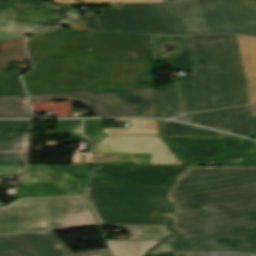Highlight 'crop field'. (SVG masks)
<instances>
[{
	"mask_svg": "<svg viewBox=\"0 0 256 256\" xmlns=\"http://www.w3.org/2000/svg\"><path fill=\"white\" fill-rule=\"evenodd\" d=\"M0 256H113L108 248L73 254L51 231L0 236Z\"/></svg>",
	"mask_w": 256,
	"mask_h": 256,
	"instance_id": "obj_12",
	"label": "crop field"
},
{
	"mask_svg": "<svg viewBox=\"0 0 256 256\" xmlns=\"http://www.w3.org/2000/svg\"><path fill=\"white\" fill-rule=\"evenodd\" d=\"M159 124L161 136L238 138L170 121L159 120Z\"/></svg>",
	"mask_w": 256,
	"mask_h": 256,
	"instance_id": "obj_19",
	"label": "crop field"
},
{
	"mask_svg": "<svg viewBox=\"0 0 256 256\" xmlns=\"http://www.w3.org/2000/svg\"><path fill=\"white\" fill-rule=\"evenodd\" d=\"M166 187L87 186L84 194L100 225L167 226L158 211L170 210L161 194Z\"/></svg>",
	"mask_w": 256,
	"mask_h": 256,
	"instance_id": "obj_6",
	"label": "crop field"
},
{
	"mask_svg": "<svg viewBox=\"0 0 256 256\" xmlns=\"http://www.w3.org/2000/svg\"><path fill=\"white\" fill-rule=\"evenodd\" d=\"M255 255H256V253H255Z\"/></svg>",
	"mask_w": 256,
	"mask_h": 256,
	"instance_id": "obj_43",
	"label": "crop field"
},
{
	"mask_svg": "<svg viewBox=\"0 0 256 256\" xmlns=\"http://www.w3.org/2000/svg\"><path fill=\"white\" fill-rule=\"evenodd\" d=\"M121 7L82 20L90 32L256 36V0H180Z\"/></svg>",
	"mask_w": 256,
	"mask_h": 256,
	"instance_id": "obj_2",
	"label": "crop field"
},
{
	"mask_svg": "<svg viewBox=\"0 0 256 256\" xmlns=\"http://www.w3.org/2000/svg\"><path fill=\"white\" fill-rule=\"evenodd\" d=\"M187 163L193 159L222 158L243 144V139L161 137Z\"/></svg>",
	"mask_w": 256,
	"mask_h": 256,
	"instance_id": "obj_13",
	"label": "crop field"
},
{
	"mask_svg": "<svg viewBox=\"0 0 256 256\" xmlns=\"http://www.w3.org/2000/svg\"><path fill=\"white\" fill-rule=\"evenodd\" d=\"M29 120L0 121V164H25Z\"/></svg>",
	"mask_w": 256,
	"mask_h": 256,
	"instance_id": "obj_15",
	"label": "crop field"
},
{
	"mask_svg": "<svg viewBox=\"0 0 256 256\" xmlns=\"http://www.w3.org/2000/svg\"><path fill=\"white\" fill-rule=\"evenodd\" d=\"M82 120H57L55 133L80 134Z\"/></svg>",
	"mask_w": 256,
	"mask_h": 256,
	"instance_id": "obj_27",
	"label": "crop field"
},
{
	"mask_svg": "<svg viewBox=\"0 0 256 256\" xmlns=\"http://www.w3.org/2000/svg\"><path fill=\"white\" fill-rule=\"evenodd\" d=\"M25 94L16 71L0 72V96Z\"/></svg>",
	"mask_w": 256,
	"mask_h": 256,
	"instance_id": "obj_25",
	"label": "crop field"
},
{
	"mask_svg": "<svg viewBox=\"0 0 256 256\" xmlns=\"http://www.w3.org/2000/svg\"><path fill=\"white\" fill-rule=\"evenodd\" d=\"M164 1H169V0H164Z\"/></svg>",
	"mask_w": 256,
	"mask_h": 256,
	"instance_id": "obj_41",
	"label": "crop field"
},
{
	"mask_svg": "<svg viewBox=\"0 0 256 256\" xmlns=\"http://www.w3.org/2000/svg\"><path fill=\"white\" fill-rule=\"evenodd\" d=\"M174 119L196 123L248 137L254 135L249 106L188 114Z\"/></svg>",
	"mask_w": 256,
	"mask_h": 256,
	"instance_id": "obj_14",
	"label": "crop field"
},
{
	"mask_svg": "<svg viewBox=\"0 0 256 256\" xmlns=\"http://www.w3.org/2000/svg\"><path fill=\"white\" fill-rule=\"evenodd\" d=\"M151 71V63H124L115 62L111 82H98L88 90L132 87L131 79Z\"/></svg>",
	"mask_w": 256,
	"mask_h": 256,
	"instance_id": "obj_18",
	"label": "crop field"
},
{
	"mask_svg": "<svg viewBox=\"0 0 256 256\" xmlns=\"http://www.w3.org/2000/svg\"><path fill=\"white\" fill-rule=\"evenodd\" d=\"M118 122H131V128H103V134H158L156 120L127 119Z\"/></svg>",
	"mask_w": 256,
	"mask_h": 256,
	"instance_id": "obj_23",
	"label": "crop field"
},
{
	"mask_svg": "<svg viewBox=\"0 0 256 256\" xmlns=\"http://www.w3.org/2000/svg\"><path fill=\"white\" fill-rule=\"evenodd\" d=\"M59 30L60 29L57 28V29L52 30L50 32H47L45 34H42V35H39V36L34 37L32 39H29L27 41L26 45L29 46V45H33V44H37V43H42V42L53 40L57 36Z\"/></svg>",
	"mask_w": 256,
	"mask_h": 256,
	"instance_id": "obj_29",
	"label": "crop field"
},
{
	"mask_svg": "<svg viewBox=\"0 0 256 256\" xmlns=\"http://www.w3.org/2000/svg\"><path fill=\"white\" fill-rule=\"evenodd\" d=\"M78 18L72 6L32 0H0V30L36 35Z\"/></svg>",
	"mask_w": 256,
	"mask_h": 256,
	"instance_id": "obj_9",
	"label": "crop field"
},
{
	"mask_svg": "<svg viewBox=\"0 0 256 256\" xmlns=\"http://www.w3.org/2000/svg\"><path fill=\"white\" fill-rule=\"evenodd\" d=\"M31 100H72L98 117H157L153 87L29 95Z\"/></svg>",
	"mask_w": 256,
	"mask_h": 256,
	"instance_id": "obj_8",
	"label": "crop field"
},
{
	"mask_svg": "<svg viewBox=\"0 0 256 256\" xmlns=\"http://www.w3.org/2000/svg\"><path fill=\"white\" fill-rule=\"evenodd\" d=\"M129 239H155L161 241L172 231L166 227H126ZM130 235H134L130 237Z\"/></svg>",
	"mask_w": 256,
	"mask_h": 256,
	"instance_id": "obj_26",
	"label": "crop field"
},
{
	"mask_svg": "<svg viewBox=\"0 0 256 256\" xmlns=\"http://www.w3.org/2000/svg\"><path fill=\"white\" fill-rule=\"evenodd\" d=\"M88 166H28L15 197L80 194Z\"/></svg>",
	"mask_w": 256,
	"mask_h": 256,
	"instance_id": "obj_10",
	"label": "crop field"
},
{
	"mask_svg": "<svg viewBox=\"0 0 256 256\" xmlns=\"http://www.w3.org/2000/svg\"><path fill=\"white\" fill-rule=\"evenodd\" d=\"M87 4H101V3H118V2H136V1H161V0H82Z\"/></svg>",
	"mask_w": 256,
	"mask_h": 256,
	"instance_id": "obj_32",
	"label": "crop field"
},
{
	"mask_svg": "<svg viewBox=\"0 0 256 256\" xmlns=\"http://www.w3.org/2000/svg\"><path fill=\"white\" fill-rule=\"evenodd\" d=\"M156 256H176V255L173 252H170V253H165V254L156 255Z\"/></svg>",
	"mask_w": 256,
	"mask_h": 256,
	"instance_id": "obj_39",
	"label": "crop field"
},
{
	"mask_svg": "<svg viewBox=\"0 0 256 256\" xmlns=\"http://www.w3.org/2000/svg\"><path fill=\"white\" fill-rule=\"evenodd\" d=\"M23 95L0 97V118L30 117L28 104H21Z\"/></svg>",
	"mask_w": 256,
	"mask_h": 256,
	"instance_id": "obj_24",
	"label": "crop field"
},
{
	"mask_svg": "<svg viewBox=\"0 0 256 256\" xmlns=\"http://www.w3.org/2000/svg\"><path fill=\"white\" fill-rule=\"evenodd\" d=\"M25 165H0V177L3 175L21 176Z\"/></svg>",
	"mask_w": 256,
	"mask_h": 256,
	"instance_id": "obj_30",
	"label": "crop field"
},
{
	"mask_svg": "<svg viewBox=\"0 0 256 256\" xmlns=\"http://www.w3.org/2000/svg\"><path fill=\"white\" fill-rule=\"evenodd\" d=\"M189 165H256V143L247 142L222 161H194Z\"/></svg>",
	"mask_w": 256,
	"mask_h": 256,
	"instance_id": "obj_21",
	"label": "crop field"
},
{
	"mask_svg": "<svg viewBox=\"0 0 256 256\" xmlns=\"http://www.w3.org/2000/svg\"><path fill=\"white\" fill-rule=\"evenodd\" d=\"M187 47L172 60L179 77L184 113L248 104L236 35L185 36Z\"/></svg>",
	"mask_w": 256,
	"mask_h": 256,
	"instance_id": "obj_4",
	"label": "crop field"
},
{
	"mask_svg": "<svg viewBox=\"0 0 256 256\" xmlns=\"http://www.w3.org/2000/svg\"><path fill=\"white\" fill-rule=\"evenodd\" d=\"M168 251H170L169 248L165 244L162 243L157 248H155L153 251H151L148 255L162 253V252H168Z\"/></svg>",
	"mask_w": 256,
	"mask_h": 256,
	"instance_id": "obj_34",
	"label": "crop field"
},
{
	"mask_svg": "<svg viewBox=\"0 0 256 256\" xmlns=\"http://www.w3.org/2000/svg\"><path fill=\"white\" fill-rule=\"evenodd\" d=\"M114 256H144L157 241H106Z\"/></svg>",
	"mask_w": 256,
	"mask_h": 256,
	"instance_id": "obj_22",
	"label": "crop field"
},
{
	"mask_svg": "<svg viewBox=\"0 0 256 256\" xmlns=\"http://www.w3.org/2000/svg\"><path fill=\"white\" fill-rule=\"evenodd\" d=\"M177 255L185 256H254L253 253L234 252V251H178Z\"/></svg>",
	"mask_w": 256,
	"mask_h": 256,
	"instance_id": "obj_28",
	"label": "crop field"
},
{
	"mask_svg": "<svg viewBox=\"0 0 256 256\" xmlns=\"http://www.w3.org/2000/svg\"><path fill=\"white\" fill-rule=\"evenodd\" d=\"M103 120H85L83 139L93 144L92 163L182 165L158 135H102Z\"/></svg>",
	"mask_w": 256,
	"mask_h": 256,
	"instance_id": "obj_7",
	"label": "crop field"
},
{
	"mask_svg": "<svg viewBox=\"0 0 256 256\" xmlns=\"http://www.w3.org/2000/svg\"><path fill=\"white\" fill-rule=\"evenodd\" d=\"M165 198L178 231L166 243L256 229V166H186Z\"/></svg>",
	"mask_w": 256,
	"mask_h": 256,
	"instance_id": "obj_1",
	"label": "crop field"
},
{
	"mask_svg": "<svg viewBox=\"0 0 256 256\" xmlns=\"http://www.w3.org/2000/svg\"><path fill=\"white\" fill-rule=\"evenodd\" d=\"M94 47L102 61L80 54L36 65L23 77L29 94L87 90L97 81H110L114 61L151 62L149 36L89 33L61 29L55 40L27 47L33 64Z\"/></svg>",
	"mask_w": 256,
	"mask_h": 256,
	"instance_id": "obj_3",
	"label": "crop field"
},
{
	"mask_svg": "<svg viewBox=\"0 0 256 256\" xmlns=\"http://www.w3.org/2000/svg\"><path fill=\"white\" fill-rule=\"evenodd\" d=\"M70 29H77V30H82V31H86L82 21H78L72 24L67 25Z\"/></svg>",
	"mask_w": 256,
	"mask_h": 256,
	"instance_id": "obj_36",
	"label": "crop field"
},
{
	"mask_svg": "<svg viewBox=\"0 0 256 256\" xmlns=\"http://www.w3.org/2000/svg\"><path fill=\"white\" fill-rule=\"evenodd\" d=\"M252 251H256V230L242 232Z\"/></svg>",
	"mask_w": 256,
	"mask_h": 256,
	"instance_id": "obj_31",
	"label": "crop field"
},
{
	"mask_svg": "<svg viewBox=\"0 0 256 256\" xmlns=\"http://www.w3.org/2000/svg\"><path fill=\"white\" fill-rule=\"evenodd\" d=\"M237 37L248 102L256 103V37Z\"/></svg>",
	"mask_w": 256,
	"mask_h": 256,
	"instance_id": "obj_17",
	"label": "crop field"
},
{
	"mask_svg": "<svg viewBox=\"0 0 256 256\" xmlns=\"http://www.w3.org/2000/svg\"><path fill=\"white\" fill-rule=\"evenodd\" d=\"M95 225L81 195L18 198L0 208V235Z\"/></svg>",
	"mask_w": 256,
	"mask_h": 256,
	"instance_id": "obj_5",
	"label": "crop field"
},
{
	"mask_svg": "<svg viewBox=\"0 0 256 256\" xmlns=\"http://www.w3.org/2000/svg\"><path fill=\"white\" fill-rule=\"evenodd\" d=\"M256 139V137H254Z\"/></svg>",
	"mask_w": 256,
	"mask_h": 256,
	"instance_id": "obj_42",
	"label": "crop field"
},
{
	"mask_svg": "<svg viewBox=\"0 0 256 256\" xmlns=\"http://www.w3.org/2000/svg\"><path fill=\"white\" fill-rule=\"evenodd\" d=\"M252 116H256V105L250 106Z\"/></svg>",
	"mask_w": 256,
	"mask_h": 256,
	"instance_id": "obj_38",
	"label": "crop field"
},
{
	"mask_svg": "<svg viewBox=\"0 0 256 256\" xmlns=\"http://www.w3.org/2000/svg\"><path fill=\"white\" fill-rule=\"evenodd\" d=\"M81 55L91 60H101V53L95 49H92L91 51L86 53H82Z\"/></svg>",
	"mask_w": 256,
	"mask_h": 256,
	"instance_id": "obj_33",
	"label": "crop field"
},
{
	"mask_svg": "<svg viewBox=\"0 0 256 256\" xmlns=\"http://www.w3.org/2000/svg\"><path fill=\"white\" fill-rule=\"evenodd\" d=\"M172 250L183 249H234L251 251L240 233L224 234L213 237L168 244Z\"/></svg>",
	"mask_w": 256,
	"mask_h": 256,
	"instance_id": "obj_16",
	"label": "crop field"
},
{
	"mask_svg": "<svg viewBox=\"0 0 256 256\" xmlns=\"http://www.w3.org/2000/svg\"><path fill=\"white\" fill-rule=\"evenodd\" d=\"M52 2L55 3H61V4H67V5H79L82 4L77 0H53Z\"/></svg>",
	"mask_w": 256,
	"mask_h": 256,
	"instance_id": "obj_37",
	"label": "crop field"
},
{
	"mask_svg": "<svg viewBox=\"0 0 256 256\" xmlns=\"http://www.w3.org/2000/svg\"><path fill=\"white\" fill-rule=\"evenodd\" d=\"M253 118V122H254V126H255V132H256V117H252Z\"/></svg>",
	"mask_w": 256,
	"mask_h": 256,
	"instance_id": "obj_40",
	"label": "crop field"
},
{
	"mask_svg": "<svg viewBox=\"0 0 256 256\" xmlns=\"http://www.w3.org/2000/svg\"><path fill=\"white\" fill-rule=\"evenodd\" d=\"M181 167L96 165L87 185L167 186Z\"/></svg>",
	"mask_w": 256,
	"mask_h": 256,
	"instance_id": "obj_11",
	"label": "crop field"
},
{
	"mask_svg": "<svg viewBox=\"0 0 256 256\" xmlns=\"http://www.w3.org/2000/svg\"><path fill=\"white\" fill-rule=\"evenodd\" d=\"M18 37H22V35L15 34V33L0 32V40L10 39V38H18Z\"/></svg>",
	"mask_w": 256,
	"mask_h": 256,
	"instance_id": "obj_35",
	"label": "crop field"
},
{
	"mask_svg": "<svg viewBox=\"0 0 256 256\" xmlns=\"http://www.w3.org/2000/svg\"><path fill=\"white\" fill-rule=\"evenodd\" d=\"M159 117L169 118L181 114L177 83L156 90Z\"/></svg>",
	"mask_w": 256,
	"mask_h": 256,
	"instance_id": "obj_20",
	"label": "crop field"
}]
</instances>
